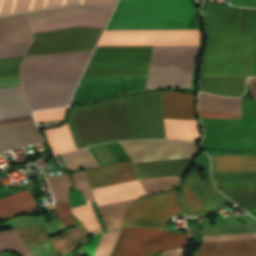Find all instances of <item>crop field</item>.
<instances>
[{
  "label": "crop field",
  "instance_id": "crop-field-1",
  "mask_svg": "<svg viewBox=\"0 0 256 256\" xmlns=\"http://www.w3.org/2000/svg\"><path fill=\"white\" fill-rule=\"evenodd\" d=\"M102 30L76 27L33 34L25 57L94 49ZM91 52L25 58L20 80L31 110L67 106Z\"/></svg>",
  "mask_w": 256,
  "mask_h": 256
},
{
  "label": "crop field",
  "instance_id": "crop-field-2",
  "mask_svg": "<svg viewBox=\"0 0 256 256\" xmlns=\"http://www.w3.org/2000/svg\"><path fill=\"white\" fill-rule=\"evenodd\" d=\"M67 123L77 149L101 142L165 138L157 91L73 108Z\"/></svg>",
  "mask_w": 256,
  "mask_h": 256
},
{
  "label": "crop field",
  "instance_id": "crop-field-3",
  "mask_svg": "<svg viewBox=\"0 0 256 256\" xmlns=\"http://www.w3.org/2000/svg\"><path fill=\"white\" fill-rule=\"evenodd\" d=\"M207 35L201 77L253 76L256 9L204 3Z\"/></svg>",
  "mask_w": 256,
  "mask_h": 256
},
{
  "label": "crop field",
  "instance_id": "crop-field-4",
  "mask_svg": "<svg viewBox=\"0 0 256 256\" xmlns=\"http://www.w3.org/2000/svg\"><path fill=\"white\" fill-rule=\"evenodd\" d=\"M184 212L178 187L161 194L143 196L130 206L123 225L163 229L170 217ZM145 227L122 226L111 256H147L164 250L181 248L186 234H176Z\"/></svg>",
  "mask_w": 256,
  "mask_h": 256
},
{
  "label": "crop field",
  "instance_id": "crop-field-5",
  "mask_svg": "<svg viewBox=\"0 0 256 256\" xmlns=\"http://www.w3.org/2000/svg\"><path fill=\"white\" fill-rule=\"evenodd\" d=\"M114 0H85L84 3L110 9ZM80 4L46 11L28 13L33 33L76 26L101 28L108 9ZM26 15L0 19V44L32 40Z\"/></svg>",
  "mask_w": 256,
  "mask_h": 256
},
{
  "label": "crop field",
  "instance_id": "crop-field-6",
  "mask_svg": "<svg viewBox=\"0 0 256 256\" xmlns=\"http://www.w3.org/2000/svg\"><path fill=\"white\" fill-rule=\"evenodd\" d=\"M196 9L190 0H121L107 30L187 29Z\"/></svg>",
  "mask_w": 256,
  "mask_h": 256
},
{
  "label": "crop field",
  "instance_id": "crop-field-7",
  "mask_svg": "<svg viewBox=\"0 0 256 256\" xmlns=\"http://www.w3.org/2000/svg\"><path fill=\"white\" fill-rule=\"evenodd\" d=\"M201 120L202 148L256 151V101L242 99V120Z\"/></svg>",
  "mask_w": 256,
  "mask_h": 256
},
{
  "label": "crop field",
  "instance_id": "crop-field-8",
  "mask_svg": "<svg viewBox=\"0 0 256 256\" xmlns=\"http://www.w3.org/2000/svg\"><path fill=\"white\" fill-rule=\"evenodd\" d=\"M198 47H153L146 87L190 88Z\"/></svg>",
  "mask_w": 256,
  "mask_h": 256
},
{
  "label": "crop field",
  "instance_id": "crop-field-9",
  "mask_svg": "<svg viewBox=\"0 0 256 256\" xmlns=\"http://www.w3.org/2000/svg\"><path fill=\"white\" fill-rule=\"evenodd\" d=\"M152 47H97L83 76L146 75Z\"/></svg>",
  "mask_w": 256,
  "mask_h": 256
},
{
  "label": "crop field",
  "instance_id": "crop-field-10",
  "mask_svg": "<svg viewBox=\"0 0 256 256\" xmlns=\"http://www.w3.org/2000/svg\"><path fill=\"white\" fill-rule=\"evenodd\" d=\"M200 45L198 30L104 31L97 46Z\"/></svg>",
  "mask_w": 256,
  "mask_h": 256
},
{
  "label": "crop field",
  "instance_id": "crop-field-11",
  "mask_svg": "<svg viewBox=\"0 0 256 256\" xmlns=\"http://www.w3.org/2000/svg\"><path fill=\"white\" fill-rule=\"evenodd\" d=\"M120 144L133 163L189 158L198 154L195 143L181 140H135Z\"/></svg>",
  "mask_w": 256,
  "mask_h": 256
},
{
  "label": "crop field",
  "instance_id": "crop-field-12",
  "mask_svg": "<svg viewBox=\"0 0 256 256\" xmlns=\"http://www.w3.org/2000/svg\"><path fill=\"white\" fill-rule=\"evenodd\" d=\"M180 198L186 207V216H198L217 211L223 206L220 202L227 200L215 187L212 180L203 181L195 170H191L181 186Z\"/></svg>",
  "mask_w": 256,
  "mask_h": 256
},
{
  "label": "crop field",
  "instance_id": "crop-field-13",
  "mask_svg": "<svg viewBox=\"0 0 256 256\" xmlns=\"http://www.w3.org/2000/svg\"><path fill=\"white\" fill-rule=\"evenodd\" d=\"M146 76L82 77L71 105L145 87Z\"/></svg>",
  "mask_w": 256,
  "mask_h": 256
},
{
  "label": "crop field",
  "instance_id": "crop-field-14",
  "mask_svg": "<svg viewBox=\"0 0 256 256\" xmlns=\"http://www.w3.org/2000/svg\"><path fill=\"white\" fill-rule=\"evenodd\" d=\"M256 238V231L204 234L203 241ZM195 256H256V239L203 242Z\"/></svg>",
  "mask_w": 256,
  "mask_h": 256
},
{
  "label": "crop field",
  "instance_id": "crop-field-15",
  "mask_svg": "<svg viewBox=\"0 0 256 256\" xmlns=\"http://www.w3.org/2000/svg\"><path fill=\"white\" fill-rule=\"evenodd\" d=\"M84 171L92 189L138 179L131 161L86 169Z\"/></svg>",
  "mask_w": 256,
  "mask_h": 256
},
{
  "label": "crop field",
  "instance_id": "crop-field-16",
  "mask_svg": "<svg viewBox=\"0 0 256 256\" xmlns=\"http://www.w3.org/2000/svg\"><path fill=\"white\" fill-rule=\"evenodd\" d=\"M164 118L196 119L194 95L160 92Z\"/></svg>",
  "mask_w": 256,
  "mask_h": 256
},
{
  "label": "crop field",
  "instance_id": "crop-field-17",
  "mask_svg": "<svg viewBox=\"0 0 256 256\" xmlns=\"http://www.w3.org/2000/svg\"><path fill=\"white\" fill-rule=\"evenodd\" d=\"M92 191L98 206L133 199L144 194L138 180Z\"/></svg>",
  "mask_w": 256,
  "mask_h": 256
},
{
  "label": "crop field",
  "instance_id": "crop-field-18",
  "mask_svg": "<svg viewBox=\"0 0 256 256\" xmlns=\"http://www.w3.org/2000/svg\"><path fill=\"white\" fill-rule=\"evenodd\" d=\"M32 114L20 86L0 89V119Z\"/></svg>",
  "mask_w": 256,
  "mask_h": 256
},
{
  "label": "crop field",
  "instance_id": "crop-field-19",
  "mask_svg": "<svg viewBox=\"0 0 256 256\" xmlns=\"http://www.w3.org/2000/svg\"><path fill=\"white\" fill-rule=\"evenodd\" d=\"M193 158L135 165L140 179L184 174Z\"/></svg>",
  "mask_w": 256,
  "mask_h": 256
},
{
  "label": "crop field",
  "instance_id": "crop-field-20",
  "mask_svg": "<svg viewBox=\"0 0 256 256\" xmlns=\"http://www.w3.org/2000/svg\"><path fill=\"white\" fill-rule=\"evenodd\" d=\"M37 207L28 189L20 191L0 199V219L3 221L12 216L30 212Z\"/></svg>",
  "mask_w": 256,
  "mask_h": 256
},
{
  "label": "crop field",
  "instance_id": "crop-field-21",
  "mask_svg": "<svg viewBox=\"0 0 256 256\" xmlns=\"http://www.w3.org/2000/svg\"><path fill=\"white\" fill-rule=\"evenodd\" d=\"M245 89L244 79L201 78V90L216 95L236 97Z\"/></svg>",
  "mask_w": 256,
  "mask_h": 256
},
{
  "label": "crop field",
  "instance_id": "crop-field-22",
  "mask_svg": "<svg viewBox=\"0 0 256 256\" xmlns=\"http://www.w3.org/2000/svg\"><path fill=\"white\" fill-rule=\"evenodd\" d=\"M215 171L256 170V155L213 156Z\"/></svg>",
  "mask_w": 256,
  "mask_h": 256
},
{
  "label": "crop field",
  "instance_id": "crop-field-23",
  "mask_svg": "<svg viewBox=\"0 0 256 256\" xmlns=\"http://www.w3.org/2000/svg\"><path fill=\"white\" fill-rule=\"evenodd\" d=\"M167 138L194 141L198 138L195 120L164 119Z\"/></svg>",
  "mask_w": 256,
  "mask_h": 256
},
{
  "label": "crop field",
  "instance_id": "crop-field-24",
  "mask_svg": "<svg viewBox=\"0 0 256 256\" xmlns=\"http://www.w3.org/2000/svg\"><path fill=\"white\" fill-rule=\"evenodd\" d=\"M219 188L223 194L244 209L256 210V186Z\"/></svg>",
  "mask_w": 256,
  "mask_h": 256
},
{
  "label": "crop field",
  "instance_id": "crop-field-25",
  "mask_svg": "<svg viewBox=\"0 0 256 256\" xmlns=\"http://www.w3.org/2000/svg\"><path fill=\"white\" fill-rule=\"evenodd\" d=\"M133 200L98 207L108 231L119 229L122 218Z\"/></svg>",
  "mask_w": 256,
  "mask_h": 256
},
{
  "label": "crop field",
  "instance_id": "crop-field-26",
  "mask_svg": "<svg viewBox=\"0 0 256 256\" xmlns=\"http://www.w3.org/2000/svg\"><path fill=\"white\" fill-rule=\"evenodd\" d=\"M45 132L55 154L76 149L67 124Z\"/></svg>",
  "mask_w": 256,
  "mask_h": 256
},
{
  "label": "crop field",
  "instance_id": "crop-field-27",
  "mask_svg": "<svg viewBox=\"0 0 256 256\" xmlns=\"http://www.w3.org/2000/svg\"><path fill=\"white\" fill-rule=\"evenodd\" d=\"M215 175L220 186L256 185V171L215 172Z\"/></svg>",
  "mask_w": 256,
  "mask_h": 256
},
{
  "label": "crop field",
  "instance_id": "crop-field-28",
  "mask_svg": "<svg viewBox=\"0 0 256 256\" xmlns=\"http://www.w3.org/2000/svg\"><path fill=\"white\" fill-rule=\"evenodd\" d=\"M18 237L27 248L49 242L43 224L31 225L16 229Z\"/></svg>",
  "mask_w": 256,
  "mask_h": 256
},
{
  "label": "crop field",
  "instance_id": "crop-field-29",
  "mask_svg": "<svg viewBox=\"0 0 256 256\" xmlns=\"http://www.w3.org/2000/svg\"><path fill=\"white\" fill-rule=\"evenodd\" d=\"M21 57L0 59V78L19 75L18 66L22 60ZM19 85V76L0 79V88Z\"/></svg>",
  "mask_w": 256,
  "mask_h": 256
},
{
  "label": "crop field",
  "instance_id": "crop-field-30",
  "mask_svg": "<svg viewBox=\"0 0 256 256\" xmlns=\"http://www.w3.org/2000/svg\"><path fill=\"white\" fill-rule=\"evenodd\" d=\"M65 164L70 170L92 167L98 165L88 148L75 152L61 154Z\"/></svg>",
  "mask_w": 256,
  "mask_h": 256
},
{
  "label": "crop field",
  "instance_id": "crop-field-31",
  "mask_svg": "<svg viewBox=\"0 0 256 256\" xmlns=\"http://www.w3.org/2000/svg\"><path fill=\"white\" fill-rule=\"evenodd\" d=\"M11 250L21 256H33V254L17 238L14 229L0 231V251Z\"/></svg>",
  "mask_w": 256,
  "mask_h": 256
},
{
  "label": "crop field",
  "instance_id": "crop-field-32",
  "mask_svg": "<svg viewBox=\"0 0 256 256\" xmlns=\"http://www.w3.org/2000/svg\"><path fill=\"white\" fill-rule=\"evenodd\" d=\"M184 176V175H183ZM182 175L140 180L146 194L163 191L173 187L181 180Z\"/></svg>",
  "mask_w": 256,
  "mask_h": 256
},
{
  "label": "crop field",
  "instance_id": "crop-field-33",
  "mask_svg": "<svg viewBox=\"0 0 256 256\" xmlns=\"http://www.w3.org/2000/svg\"><path fill=\"white\" fill-rule=\"evenodd\" d=\"M47 179L55 201H69V180L67 174Z\"/></svg>",
  "mask_w": 256,
  "mask_h": 256
},
{
  "label": "crop field",
  "instance_id": "crop-field-34",
  "mask_svg": "<svg viewBox=\"0 0 256 256\" xmlns=\"http://www.w3.org/2000/svg\"><path fill=\"white\" fill-rule=\"evenodd\" d=\"M88 204L77 206L71 208L75 216L89 229L99 228L98 221L94 215L91 204L88 201ZM73 214V215H74Z\"/></svg>",
  "mask_w": 256,
  "mask_h": 256
},
{
  "label": "crop field",
  "instance_id": "crop-field-35",
  "mask_svg": "<svg viewBox=\"0 0 256 256\" xmlns=\"http://www.w3.org/2000/svg\"><path fill=\"white\" fill-rule=\"evenodd\" d=\"M120 231L104 233L94 256H109Z\"/></svg>",
  "mask_w": 256,
  "mask_h": 256
},
{
  "label": "crop field",
  "instance_id": "crop-field-36",
  "mask_svg": "<svg viewBox=\"0 0 256 256\" xmlns=\"http://www.w3.org/2000/svg\"><path fill=\"white\" fill-rule=\"evenodd\" d=\"M31 42L32 41L16 43V44L0 45V58L25 55Z\"/></svg>",
  "mask_w": 256,
  "mask_h": 256
},
{
  "label": "crop field",
  "instance_id": "crop-field-37",
  "mask_svg": "<svg viewBox=\"0 0 256 256\" xmlns=\"http://www.w3.org/2000/svg\"><path fill=\"white\" fill-rule=\"evenodd\" d=\"M2 2H3V0H1L0 8H1V5H2ZM33 2H34V0H32V3H31V0H16V3H15V0H14V3H15V6H14L13 0H4L2 8H1L0 15L9 14L12 3H13V6H14V9H13V6H12L13 12H12V9H11V12L15 13V12H19V11L28 10L29 6H30V3H31V6H30L29 10H31Z\"/></svg>",
  "mask_w": 256,
  "mask_h": 256
},
{
  "label": "crop field",
  "instance_id": "crop-field-38",
  "mask_svg": "<svg viewBox=\"0 0 256 256\" xmlns=\"http://www.w3.org/2000/svg\"><path fill=\"white\" fill-rule=\"evenodd\" d=\"M198 103L241 105V99L200 93Z\"/></svg>",
  "mask_w": 256,
  "mask_h": 256
},
{
  "label": "crop field",
  "instance_id": "crop-field-39",
  "mask_svg": "<svg viewBox=\"0 0 256 256\" xmlns=\"http://www.w3.org/2000/svg\"><path fill=\"white\" fill-rule=\"evenodd\" d=\"M55 211L63 222L65 228L74 226L69 215L73 214L69 202H55Z\"/></svg>",
  "mask_w": 256,
  "mask_h": 256
},
{
  "label": "crop field",
  "instance_id": "crop-field-40",
  "mask_svg": "<svg viewBox=\"0 0 256 256\" xmlns=\"http://www.w3.org/2000/svg\"><path fill=\"white\" fill-rule=\"evenodd\" d=\"M65 109L66 108L39 111L35 113L34 117L36 122H46V121L63 119Z\"/></svg>",
  "mask_w": 256,
  "mask_h": 256
},
{
  "label": "crop field",
  "instance_id": "crop-field-41",
  "mask_svg": "<svg viewBox=\"0 0 256 256\" xmlns=\"http://www.w3.org/2000/svg\"><path fill=\"white\" fill-rule=\"evenodd\" d=\"M72 177H73L75 186L82 191V195L85 201L94 200L91 194L88 182L86 180L85 174L81 173V174L73 175Z\"/></svg>",
  "mask_w": 256,
  "mask_h": 256
},
{
  "label": "crop field",
  "instance_id": "crop-field-42",
  "mask_svg": "<svg viewBox=\"0 0 256 256\" xmlns=\"http://www.w3.org/2000/svg\"><path fill=\"white\" fill-rule=\"evenodd\" d=\"M198 110L241 112V106L198 104Z\"/></svg>",
  "mask_w": 256,
  "mask_h": 256
},
{
  "label": "crop field",
  "instance_id": "crop-field-43",
  "mask_svg": "<svg viewBox=\"0 0 256 256\" xmlns=\"http://www.w3.org/2000/svg\"><path fill=\"white\" fill-rule=\"evenodd\" d=\"M200 117L241 119V113L198 111Z\"/></svg>",
  "mask_w": 256,
  "mask_h": 256
},
{
  "label": "crop field",
  "instance_id": "crop-field-44",
  "mask_svg": "<svg viewBox=\"0 0 256 256\" xmlns=\"http://www.w3.org/2000/svg\"><path fill=\"white\" fill-rule=\"evenodd\" d=\"M72 2H81V0H66V3H72ZM83 2V0H82ZM81 2V3H82ZM63 3V0H48L47 1V4H46V1H45V4H46V7H50V6H55V5H60ZM64 3H65V0H64ZM63 3V4H64ZM65 3V4H66ZM43 4H44V0H35L34 2V6H33V9H38V8H42L43 7ZM45 4H44V7H45ZM43 7V8H44ZM45 7V8H46ZM32 9V10H33Z\"/></svg>",
  "mask_w": 256,
  "mask_h": 256
},
{
  "label": "crop field",
  "instance_id": "crop-field-45",
  "mask_svg": "<svg viewBox=\"0 0 256 256\" xmlns=\"http://www.w3.org/2000/svg\"><path fill=\"white\" fill-rule=\"evenodd\" d=\"M198 167L202 168L205 171L207 178H210V162L208 156L203 153V155L198 160Z\"/></svg>",
  "mask_w": 256,
  "mask_h": 256
},
{
  "label": "crop field",
  "instance_id": "crop-field-46",
  "mask_svg": "<svg viewBox=\"0 0 256 256\" xmlns=\"http://www.w3.org/2000/svg\"><path fill=\"white\" fill-rule=\"evenodd\" d=\"M231 5L256 7V0H231Z\"/></svg>",
  "mask_w": 256,
  "mask_h": 256
},
{
  "label": "crop field",
  "instance_id": "crop-field-47",
  "mask_svg": "<svg viewBox=\"0 0 256 256\" xmlns=\"http://www.w3.org/2000/svg\"><path fill=\"white\" fill-rule=\"evenodd\" d=\"M247 83L250 87L254 99L256 100V77L247 79Z\"/></svg>",
  "mask_w": 256,
  "mask_h": 256
},
{
  "label": "crop field",
  "instance_id": "crop-field-48",
  "mask_svg": "<svg viewBox=\"0 0 256 256\" xmlns=\"http://www.w3.org/2000/svg\"><path fill=\"white\" fill-rule=\"evenodd\" d=\"M162 256H183V249L162 253Z\"/></svg>",
  "mask_w": 256,
  "mask_h": 256
},
{
  "label": "crop field",
  "instance_id": "crop-field-49",
  "mask_svg": "<svg viewBox=\"0 0 256 256\" xmlns=\"http://www.w3.org/2000/svg\"><path fill=\"white\" fill-rule=\"evenodd\" d=\"M255 75H256V67H255Z\"/></svg>",
  "mask_w": 256,
  "mask_h": 256
}]
</instances>
